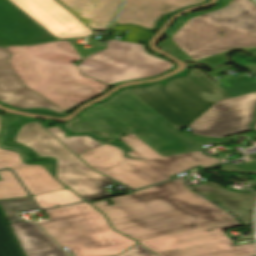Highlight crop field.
<instances>
[{
	"label": "crop field",
	"instance_id": "1",
	"mask_svg": "<svg viewBox=\"0 0 256 256\" xmlns=\"http://www.w3.org/2000/svg\"><path fill=\"white\" fill-rule=\"evenodd\" d=\"M255 109L256 93L232 98L200 69H191L185 77L175 78L165 86L158 83L124 90L86 109L67 123V129L88 133L93 130L103 139L133 131L168 155L226 141L194 138L177 128L190 127L193 133L208 137L246 132L251 130Z\"/></svg>",
	"mask_w": 256,
	"mask_h": 256
},
{
	"label": "crop field",
	"instance_id": "2",
	"mask_svg": "<svg viewBox=\"0 0 256 256\" xmlns=\"http://www.w3.org/2000/svg\"><path fill=\"white\" fill-rule=\"evenodd\" d=\"M113 201L112 206L106 200L92 205L107 216L115 230L136 241L235 219L191 191L184 177Z\"/></svg>",
	"mask_w": 256,
	"mask_h": 256
},
{
	"label": "crop field",
	"instance_id": "3",
	"mask_svg": "<svg viewBox=\"0 0 256 256\" xmlns=\"http://www.w3.org/2000/svg\"><path fill=\"white\" fill-rule=\"evenodd\" d=\"M221 5L177 20L158 47L183 61L214 67L241 49L256 56V4L252 0H220ZM226 32L224 35L219 32ZM227 63V62H226ZM225 64V63H224Z\"/></svg>",
	"mask_w": 256,
	"mask_h": 256
},
{
	"label": "crop field",
	"instance_id": "4",
	"mask_svg": "<svg viewBox=\"0 0 256 256\" xmlns=\"http://www.w3.org/2000/svg\"><path fill=\"white\" fill-rule=\"evenodd\" d=\"M70 42L5 47L12 54L9 64L20 80L66 112L109 86L81 73L73 62L82 58Z\"/></svg>",
	"mask_w": 256,
	"mask_h": 256
},
{
	"label": "crop field",
	"instance_id": "5",
	"mask_svg": "<svg viewBox=\"0 0 256 256\" xmlns=\"http://www.w3.org/2000/svg\"><path fill=\"white\" fill-rule=\"evenodd\" d=\"M135 151L124 152L108 143L78 155L96 171L133 189H139L170 180L171 175L202 165L206 168L221 162L215 157L206 156L200 151L162 157L142 140L130 133L120 138Z\"/></svg>",
	"mask_w": 256,
	"mask_h": 256
},
{
	"label": "crop field",
	"instance_id": "6",
	"mask_svg": "<svg viewBox=\"0 0 256 256\" xmlns=\"http://www.w3.org/2000/svg\"><path fill=\"white\" fill-rule=\"evenodd\" d=\"M46 213L50 219L37 223L73 256L119 254L137 243L113 231L105 216L87 202Z\"/></svg>",
	"mask_w": 256,
	"mask_h": 256
},
{
	"label": "crop field",
	"instance_id": "7",
	"mask_svg": "<svg viewBox=\"0 0 256 256\" xmlns=\"http://www.w3.org/2000/svg\"><path fill=\"white\" fill-rule=\"evenodd\" d=\"M114 31L130 30L126 42L108 39L106 49L81 61L77 66L83 74L105 84L144 79L163 74L173 63L147 53L138 39H149L152 33L133 25L113 27Z\"/></svg>",
	"mask_w": 256,
	"mask_h": 256
},
{
	"label": "crop field",
	"instance_id": "8",
	"mask_svg": "<svg viewBox=\"0 0 256 256\" xmlns=\"http://www.w3.org/2000/svg\"><path fill=\"white\" fill-rule=\"evenodd\" d=\"M15 141L33 149L40 156L57 159L56 178L85 200L108 195L104 185L116 181L96 172L48 133L41 123H27Z\"/></svg>",
	"mask_w": 256,
	"mask_h": 256
},
{
	"label": "crop field",
	"instance_id": "9",
	"mask_svg": "<svg viewBox=\"0 0 256 256\" xmlns=\"http://www.w3.org/2000/svg\"><path fill=\"white\" fill-rule=\"evenodd\" d=\"M241 225L235 220L140 243L159 256H256L255 243L233 247L222 230Z\"/></svg>",
	"mask_w": 256,
	"mask_h": 256
},
{
	"label": "crop field",
	"instance_id": "10",
	"mask_svg": "<svg viewBox=\"0 0 256 256\" xmlns=\"http://www.w3.org/2000/svg\"><path fill=\"white\" fill-rule=\"evenodd\" d=\"M21 118L0 114V169H13L32 196L65 189L54 179V164H31V159L22 149L4 144L10 126Z\"/></svg>",
	"mask_w": 256,
	"mask_h": 256
},
{
	"label": "crop field",
	"instance_id": "11",
	"mask_svg": "<svg viewBox=\"0 0 256 256\" xmlns=\"http://www.w3.org/2000/svg\"><path fill=\"white\" fill-rule=\"evenodd\" d=\"M27 256H68L34 222H24L18 211L37 208L31 197L0 201Z\"/></svg>",
	"mask_w": 256,
	"mask_h": 256
},
{
	"label": "crop field",
	"instance_id": "12",
	"mask_svg": "<svg viewBox=\"0 0 256 256\" xmlns=\"http://www.w3.org/2000/svg\"><path fill=\"white\" fill-rule=\"evenodd\" d=\"M58 39L94 32L55 0H10Z\"/></svg>",
	"mask_w": 256,
	"mask_h": 256
},
{
	"label": "crop field",
	"instance_id": "13",
	"mask_svg": "<svg viewBox=\"0 0 256 256\" xmlns=\"http://www.w3.org/2000/svg\"><path fill=\"white\" fill-rule=\"evenodd\" d=\"M56 38L9 0H0V45L34 44Z\"/></svg>",
	"mask_w": 256,
	"mask_h": 256
},
{
	"label": "crop field",
	"instance_id": "14",
	"mask_svg": "<svg viewBox=\"0 0 256 256\" xmlns=\"http://www.w3.org/2000/svg\"><path fill=\"white\" fill-rule=\"evenodd\" d=\"M208 0H126L115 25L136 24L156 30L157 21L165 15Z\"/></svg>",
	"mask_w": 256,
	"mask_h": 256
},
{
	"label": "crop field",
	"instance_id": "15",
	"mask_svg": "<svg viewBox=\"0 0 256 256\" xmlns=\"http://www.w3.org/2000/svg\"><path fill=\"white\" fill-rule=\"evenodd\" d=\"M11 54L0 47V102L18 109L46 108L65 113L63 110L28 89L16 76L8 61Z\"/></svg>",
	"mask_w": 256,
	"mask_h": 256
},
{
	"label": "crop field",
	"instance_id": "16",
	"mask_svg": "<svg viewBox=\"0 0 256 256\" xmlns=\"http://www.w3.org/2000/svg\"><path fill=\"white\" fill-rule=\"evenodd\" d=\"M93 30H108L123 0H58Z\"/></svg>",
	"mask_w": 256,
	"mask_h": 256
},
{
	"label": "crop field",
	"instance_id": "17",
	"mask_svg": "<svg viewBox=\"0 0 256 256\" xmlns=\"http://www.w3.org/2000/svg\"><path fill=\"white\" fill-rule=\"evenodd\" d=\"M193 188L228 209L245 224L250 223L251 213L248 211L253 208L256 193H238L212 182Z\"/></svg>",
	"mask_w": 256,
	"mask_h": 256
},
{
	"label": "crop field",
	"instance_id": "18",
	"mask_svg": "<svg viewBox=\"0 0 256 256\" xmlns=\"http://www.w3.org/2000/svg\"><path fill=\"white\" fill-rule=\"evenodd\" d=\"M46 130L55 136L76 155L100 145L98 141L88 136L66 137L64 136L65 132L58 126L49 127L46 128Z\"/></svg>",
	"mask_w": 256,
	"mask_h": 256
},
{
	"label": "crop field",
	"instance_id": "19",
	"mask_svg": "<svg viewBox=\"0 0 256 256\" xmlns=\"http://www.w3.org/2000/svg\"><path fill=\"white\" fill-rule=\"evenodd\" d=\"M0 256H25L0 211Z\"/></svg>",
	"mask_w": 256,
	"mask_h": 256
},
{
	"label": "crop field",
	"instance_id": "20",
	"mask_svg": "<svg viewBox=\"0 0 256 256\" xmlns=\"http://www.w3.org/2000/svg\"><path fill=\"white\" fill-rule=\"evenodd\" d=\"M28 196L12 171H0V200Z\"/></svg>",
	"mask_w": 256,
	"mask_h": 256
},
{
	"label": "crop field",
	"instance_id": "21",
	"mask_svg": "<svg viewBox=\"0 0 256 256\" xmlns=\"http://www.w3.org/2000/svg\"><path fill=\"white\" fill-rule=\"evenodd\" d=\"M34 199L37 201V203L40 205L42 209L55 207L56 204H58L59 206H62V205L82 201L81 198L76 196L74 193H72L68 189L35 196Z\"/></svg>",
	"mask_w": 256,
	"mask_h": 256
},
{
	"label": "crop field",
	"instance_id": "22",
	"mask_svg": "<svg viewBox=\"0 0 256 256\" xmlns=\"http://www.w3.org/2000/svg\"><path fill=\"white\" fill-rule=\"evenodd\" d=\"M218 85L232 97L256 92V81L253 78H247L246 76L224 81Z\"/></svg>",
	"mask_w": 256,
	"mask_h": 256
},
{
	"label": "crop field",
	"instance_id": "23",
	"mask_svg": "<svg viewBox=\"0 0 256 256\" xmlns=\"http://www.w3.org/2000/svg\"><path fill=\"white\" fill-rule=\"evenodd\" d=\"M27 122H38L35 119H31V118H27L24 117L22 120H20L18 123H16L15 125L11 126L8 137L6 139V143L5 144H9L12 146H16V147H20L22 148L25 152H27L30 156H32L33 158H35L37 161L40 160H53L54 162H56V160L52 157H40L37 153H35L33 150H31L30 148L22 145V144H18L14 142V138L18 132V130L20 129V127L22 125H24Z\"/></svg>",
	"mask_w": 256,
	"mask_h": 256
},
{
	"label": "crop field",
	"instance_id": "24",
	"mask_svg": "<svg viewBox=\"0 0 256 256\" xmlns=\"http://www.w3.org/2000/svg\"><path fill=\"white\" fill-rule=\"evenodd\" d=\"M116 256H158L140 243Z\"/></svg>",
	"mask_w": 256,
	"mask_h": 256
},
{
	"label": "crop field",
	"instance_id": "25",
	"mask_svg": "<svg viewBox=\"0 0 256 256\" xmlns=\"http://www.w3.org/2000/svg\"><path fill=\"white\" fill-rule=\"evenodd\" d=\"M221 167L222 171L256 173V161L244 164L243 166H229L222 164Z\"/></svg>",
	"mask_w": 256,
	"mask_h": 256
},
{
	"label": "crop field",
	"instance_id": "26",
	"mask_svg": "<svg viewBox=\"0 0 256 256\" xmlns=\"http://www.w3.org/2000/svg\"><path fill=\"white\" fill-rule=\"evenodd\" d=\"M252 72H256V65L243 64Z\"/></svg>",
	"mask_w": 256,
	"mask_h": 256
},
{
	"label": "crop field",
	"instance_id": "27",
	"mask_svg": "<svg viewBox=\"0 0 256 256\" xmlns=\"http://www.w3.org/2000/svg\"><path fill=\"white\" fill-rule=\"evenodd\" d=\"M251 158H256V154L250 155Z\"/></svg>",
	"mask_w": 256,
	"mask_h": 256
},
{
	"label": "crop field",
	"instance_id": "28",
	"mask_svg": "<svg viewBox=\"0 0 256 256\" xmlns=\"http://www.w3.org/2000/svg\"><path fill=\"white\" fill-rule=\"evenodd\" d=\"M254 128L256 129V124H255Z\"/></svg>",
	"mask_w": 256,
	"mask_h": 256
}]
</instances>
